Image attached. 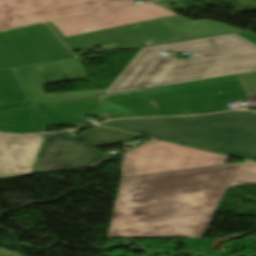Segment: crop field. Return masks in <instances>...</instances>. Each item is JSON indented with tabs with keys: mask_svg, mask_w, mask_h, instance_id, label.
Instances as JSON below:
<instances>
[{
	"mask_svg": "<svg viewBox=\"0 0 256 256\" xmlns=\"http://www.w3.org/2000/svg\"><path fill=\"white\" fill-rule=\"evenodd\" d=\"M241 164L122 178L108 237H203Z\"/></svg>",
	"mask_w": 256,
	"mask_h": 256,
	"instance_id": "crop-field-1",
	"label": "crop field"
},
{
	"mask_svg": "<svg viewBox=\"0 0 256 256\" xmlns=\"http://www.w3.org/2000/svg\"><path fill=\"white\" fill-rule=\"evenodd\" d=\"M256 98V72L153 87L43 106L50 126L84 123L82 115L166 116L229 110L227 103Z\"/></svg>",
	"mask_w": 256,
	"mask_h": 256,
	"instance_id": "crop-field-2",
	"label": "crop field"
},
{
	"mask_svg": "<svg viewBox=\"0 0 256 256\" xmlns=\"http://www.w3.org/2000/svg\"><path fill=\"white\" fill-rule=\"evenodd\" d=\"M149 48L197 54L182 61L142 49L105 94L256 71V45L235 34Z\"/></svg>",
	"mask_w": 256,
	"mask_h": 256,
	"instance_id": "crop-field-3",
	"label": "crop field"
},
{
	"mask_svg": "<svg viewBox=\"0 0 256 256\" xmlns=\"http://www.w3.org/2000/svg\"><path fill=\"white\" fill-rule=\"evenodd\" d=\"M100 125L237 157L256 159V113L113 120Z\"/></svg>",
	"mask_w": 256,
	"mask_h": 256,
	"instance_id": "crop-field-4",
	"label": "crop field"
},
{
	"mask_svg": "<svg viewBox=\"0 0 256 256\" xmlns=\"http://www.w3.org/2000/svg\"><path fill=\"white\" fill-rule=\"evenodd\" d=\"M72 50L117 42L122 49L142 45L191 39L241 31L233 26L207 19L193 21L180 15L65 38L52 22L48 23Z\"/></svg>",
	"mask_w": 256,
	"mask_h": 256,
	"instance_id": "crop-field-5",
	"label": "crop field"
},
{
	"mask_svg": "<svg viewBox=\"0 0 256 256\" xmlns=\"http://www.w3.org/2000/svg\"><path fill=\"white\" fill-rule=\"evenodd\" d=\"M86 78L77 58L0 71V111L103 95L106 90L46 94L47 84Z\"/></svg>",
	"mask_w": 256,
	"mask_h": 256,
	"instance_id": "crop-field-6",
	"label": "crop field"
},
{
	"mask_svg": "<svg viewBox=\"0 0 256 256\" xmlns=\"http://www.w3.org/2000/svg\"><path fill=\"white\" fill-rule=\"evenodd\" d=\"M139 136L95 126L74 138L64 132L46 134L35 165L37 174L97 167L109 160L93 146L133 141Z\"/></svg>",
	"mask_w": 256,
	"mask_h": 256,
	"instance_id": "crop-field-7",
	"label": "crop field"
},
{
	"mask_svg": "<svg viewBox=\"0 0 256 256\" xmlns=\"http://www.w3.org/2000/svg\"><path fill=\"white\" fill-rule=\"evenodd\" d=\"M229 157L150 140L128 152L121 160L122 177L221 165Z\"/></svg>",
	"mask_w": 256,
	"mask_h": 256,
	"instance_id": "crop-field-8",
	"label": "crop field"
},
{
	"mask_svg": "<svg viewBox=\"0 0 256 256\" xmlns=\"http://www.w3.org/2000/svg\"><path fill=\"white\" fill-rule=\"evenodd\" d=\"M134 0H0V30L106 10Z\"/></svg>",
	"mask_w": 256,
	"mask_h": 256,
	"instance_id": "crop-field-9",
	"label": "crop field"
},
{
	"mask_svg": "<svg viewBox=\"0 0 256 256\" xmlns=\"http://www.w3.org/2000/svg\"><path fill=\"white\" fill-rule=\"evenodd\" d=\"M171 15L176 14L151 2L110 12L54 21L53 23L65 37H68Z\"/></svg>",
	"mask_w": 256,
	"mask_h": 256,
	"instance_id": "crop-field-10",
	"label": "crop field"
},
{
	"mask_svg": "<svg viewBox=\"0 0 256 256\" xmlns=\"http://www.w3.org/2000/svg\"><path fill=\"white\" fill-rule=\"evenodd\" d=\"M44 134L6 135L0 133V179L33 175V165Z\"/></svg>",
	"mask_w": 256,
	"mask_h": 256,
	"instance_id": "crop-field-11",
	"label": "crop field"
},
{
	"mask_svg": "<svg viewBox=\"0 0 256 256\" xmlns=\"http://www.w3.org/2000/svg\"><path fill=\"white\" fill-rule=\"evenodd\" d=\"M39 106H32L0 112V131L2 132H44Z\"/></svg>",
	"mask_w": 256,
	"mask_h": 256,
	"instance_id": "crop-field-12",
	"label": "crop field"
},
{
	"mask_svg": "<svg viewBox=\"0 0 256 256\" xmlns=\"http://www.w3.org/2000/svg\"><path fill=\"white\" fill-rule=\"evenodd\" d=\"M252 182H256V163L247 161L239 167L230 187Z\"/></svg>",
	"mask_w": 256,
	"mask_h": 256,
	"instance_id": "crop-field-13",
	"label": "crop field"
},
{
	"mask_svg": "<svg viewBox=\"0 0 256 256\" xmlns=\"http://www.w3.org/2000/svg\"><path fill=\"white\" fill-rule=\"evenodd\" d=\"M0 256H22V255L18 252L0 248Z\"/></svg>",
	"mask_w": 256,
	"mask_h": 256,
	"instance_id": "crop-field-14",
	"label": "crop field"
},
{
	"mask_svg": "<svg viewBox=\"0 0 256 256\" xmlns=\"http://www.w3.org/2000/svg\"><path fill=\"white\" fill-rule=\"evenodd\" d=\"M253 239H255V240H256V237H253Z\"/></svg>",
	"mask_w": 256,
	"mask_h": 256,
	"instance_id": "crop-field-15",
	"label": "crop field"
}]
</instances>
